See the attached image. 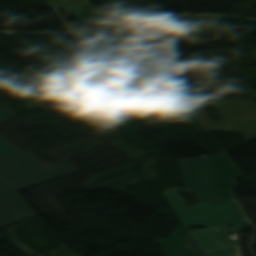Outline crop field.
Here are the masks:
<instances>
[{"instance_id": "9", "label": "crop field", "mask_w": 256, "mask_h": 256, "mask_svg": "<svg viewBox=\"0 0 256 256\" xmlns=\"http://www.w3.org/2000/svg\"><path fill=\"white\" fill-rule=\"evenodd\" d=\"M209 254L211 256H236L238 255L237 246L225 248V249H219L214 251H209Z\"/></svg>"}, {"instance_id": "1", "label": "crop field", "mask_w": 256, "mask_h": 256, "mask_svg": "<svg viewBox=\"0 0 256 256\" xmlns=\"http://www.w3.org/2000/svg\"><path fill=\"white\" fill-rule=\"evenodd\" d=\"M187 189L170 188L164 195L185 226L253 225L243 214L232 189L243 175L226 154L179 160ZM197 191L200 205L187 208L178 192Z\"/></svg>"}, {"instance_id": "2", "label": "crop field", "mask_w": 256, "mask_h": 256, "mask_svg": "<svg viewBox=\"0 0 256 256\" xmlns=\"http://www.w3.org/2000/svg\"><path fill=\"white\" fill-rule=\"evenodd\" d=\"M13 117L15 114L11 109L0 110V123ZM19 152L22 154L0 161V177L7 180L17 192L77 172L69 159L48 166L0 138V158Z\"/></svg>"}, {"instance_id": "8", "label": "crop field", "mask_w": 256, "mask_h": 256, "mask_svg": "<svg viewBox=\"0 0 256 256\" xmlns=\"http://www.w3.org/2000/svg\"><path fill=\"white\" fill-rule=\"evenodd\" d=\"M127 37L121 23L78 33L76 40L78 44L109 41L117 38Z\"/></svg>"}, {"instance_id": "3", "label": "crop field", "mask_w": 256, "mask_h": 256, "mask_svg": "<svg viewBox=\"0 0 256 256\" xmlns=\"http://www.w3.org/2000/svg\"><path fill=\"white\" fill-rule=\"evenodd\" d=\"M36 215L28 217L26 219L11 223L9 225L3 226V232L7 240L14 244L17 248L23 251L28 256H79L73 250L63 243H59L53 237H51L38 223ZM17 224L20 225V230L23 237L31 243L37 251L33 250L28 246L27 242H24L18 235ZM40 245V247L34 245L28 237ZM56 242L59 246L49 249L48 247ZM48 249L44 253L36 255L39 250Z\"/></svg>"}, {"instance_id": "7", "label": "crop field", "mask_w": 256, "mask_h": 256, "mask_svg": "<svg viewBox=\"0 0 256 256\" xmlns=\"http://www.w3.org/2000/svg\"><path fill=\"white\" fill-rule=\"evenodd\" d=\"M63 9L68 13L78 16L86 30L109 24L105 14L95 11L93 5L90 3Z\"/></svg>"}, {"instance_id": "4", "label": "crop field", "mask_w": 256, "mask_h": 256, "mask_svg": "<svg viewBox=\"0 0 256 256\" xmlns=\"http://www.w3.org/2000/svg\"><path fill=\"white\" fill-rule=\"evenodd\" d=\"M167 256H206L188 227H178L171 238L156 239Z\"/></svg>"}, {"instance_id": "6", "label": "crop field", "mask_w": 256, "mask_h": 256, "mask_svg": "<svg viewBox=\"0 0 256 256\" xmlns=\"http://www.w3.org/2000/svg\"><path fill=\"white\" fill-rule=\"evenodd\" d=\"M193 231L206 251L237 245V242L229 243L224 238L225 234L237 232L234 228L212 227Z\"/></svg>"}, {"instance_id": "5", "label": "crop field", "mask_w": 256, "mask_h": 256, "mask_svg": "<svg viewBox=\"0 0 256 256\" xmlns=\"http://www.w3.org/2000/svg\"><path fill=\"white\" fill-rule=\"evenodd\" d=\"M34 215L12 187L0 178V226Z\"/></svg>"}]
</instances>
